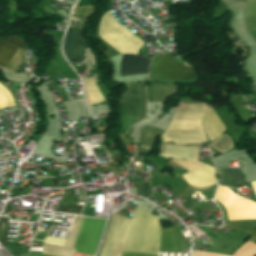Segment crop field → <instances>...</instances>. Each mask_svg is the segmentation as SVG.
Listing matches in <instances>:
<instances>
[{
    "label": "crop field",
    "instance_id": "ac0d7876",
    "mask_svg": "<svg viewBox=\"0 0 256 256\" xmlns=\"http://www.w3.org/2000/svg\"><path fill=\"white\" fill-rule=\"evenodd\" d=\"M159 236V218L134 210L123 251L158 254Z\"/></svg>",
    "mask_w": 256,
    "mask_h": 256
},
{
    "label": "crop field",
    "instance_id": "dafd665d",
    "mask_svg": "<svg viewBox=\"0 0 256 256\" xmlns=\"http://www.w3.org/2000/svg\"><path fill=\"white\" fill-rule=\"evenodd\" d=\"M8 218L0 217V243H5Z\"/></svg>",
    "mask_w": 256,
    "mask_h": 256
},
{
    "label": "crop field",
    "instance_id": "eef30255",
    "mask_svg": "<svg viewBox=\"0 0 256 256\" xmlns=\"http://www.w3.org/2000/svg\"><path fill=\"white\" fill-rule=\"evenodd\" d=\"M122 256H158V255H146V254L123 252Z\"/></svg>",
    "mask_w": 256,
    "mask_h": 256
},
{
    "label": "crop field",
    "instance_id": "733c2abd",
    "mask_svg": "<svg viewBox=\"0 0 256 256\" xmlns=\"http://www.w3.org/2000/svg\"><path fill=\"white\" fill-rule=\"evenodd\" d=\"M17 50L13 45L0 42V68L6 69Z\"/></svg>",
    "mask_w": 256,
    "mask_h": 256
},
{
    "label": "crop field",
    "instance_id": "ae1a2a85",
    "mask_svg": "<svg viewBox=\"0 0 256 256\" xmlns=\"http://www.w3.org/2000/svg\"><path fill=\"white\" fill-rule=\"evenodd\" d=\"M251 185H252V188H253V190H254V192L256 194V182H252Z\"/></svg>",
    "mask_w": 256,
    "mask_h": 256
},
{
    "label": "crop field",
    "instance_id": "34b2d1b8",
    "mask_svg": "<svg viewBox=\"0 0 256 256\" xmlns=\"http://www.w3.org/2000/svg\"><path fill=\"white\" fill-rule=\"evenodd\" d=\"M127 30L108 11L102 18L99 37L121 54H137L144 42Z\"/></svg>",
    "mask_w": 256,
    "mask_h": 256
},
{
    "label": "crop field",
    "instance_id": "3316defc",
    "mask_svg": "<svg viewBox=\"0 0 256 256\" xmlns=\"http://www.w3.org/2000/svg\"><path fill=\"white\" fill-rule=\"evenodd\" d=\"M84 48H87L82 36V29L69 28L64 41V53L69 62L84 59Z\"/></svg>",
    "mask_w": 256,
    "mask_h": 256
},
{
    "label": "crop field",
    "instance_id": "d8731c3e",
    "mask_svg": "<svg viewBox=\"0 0 256 256\" xmlns=\"http://www.w3.org/2000/svg\"><path fill=\"white\" fill-rule=\"evenodd\" d=\"M203 128L216 150L224 153L232 148V142L223 133L225 126L211 107H208V112L203 119Z\"/></svg>",
    "mask_w": 256,
    "mask_h": 256
},
{
    "label": "crop field",
    "instance_id": "412701ff",
    "mask_svg": "<svg viewBox=\"0 0 256 256\" xmlns=\"http://www.w3.org/2000/svg\"><path fill=\"white\" fill-rule=\"evenodd\" d=\"M216 199L225 206L229 220L256 219V203L235 194L231 189L219 187Z\"/></svg>",
    "mask_w": 256,
    "mask_h": 256
},
{
    "label": "crop field",
    "instance_id": "8a807250",
    "mask_svg": "<svg viewBox=\"0 0 256 256\" xmlns=\"http://www.w3.org/2000/svg\"><path fill=\"white\" fill-rule=\"evenodd\" d=\"M206 105L180 101L169 127L162 134L161 154L171 166L188 173L184 180L197 188L217 183L215 169L197 161V147L207 141L201 126Z\"/></svg>",
    "mask_w": 256,
    "mask_h": 256
},
{
    "label": "crop field",
    "instance_id": "d3111659",
    "mask_svg": "<svg viewBox=\"0 0 256 256\" xmlns=\"http://www.w3.org/2000/svg\"><path fill=\"white\" fill-rule=\"evenodd\" d=\"M251 34L256 38V31L251 32Z\"/></svg>",
    "mask_w": 256,
    "mask_h": 256
},
{
    "label": "crop field",
    "instance_id": "bc2a9ffb",
    "mask_svg": "<svg viewBox=\"0 0 256 256\" xmlns=\"http://www.w3.org/2000/svg\"><path fill=\"white\" fill-rule=\"evenodd\" d=\"M41 249L44 254L57 255V256H73L75 253V251L71 249L46 246V245H42Z\"/></svg>",
    "mask_w": 256,
    "mask_h": 256
},
{
    "label": "crop field",
    "instance_id": "730fd06b",
    "mask_svg": "<svg viewBox=\"0 0 256 256\" xmlns=\"http://www.w3.org/2000/svg\"><path fill=\"white\" fill-rule=\"evenodd\" d=\"M44 243L63 246L65 243V240L47 237V239L44 241Z\"/></svg>",
    "mask_w": 256,
    "mask_h": 256
},
{
    "label": "crop field",
    "instance_id": "750c4746",
    "mask_svg": "<svg viewBox=\"0 0 256 256\" xmlns=\"http://www.w3.org/2000/svg\"><path fill=\"white\" fill-rule=\"evenodd\" d=\"M3 9H4V8L0 7V12H2V11H3Z\"/></svg>",
    "mask_w": 256,
    "mask_h": 256
},
{
    "label": "crop field",
    "instance_id": "22f410ed",
    "mask_svg": "<svg viewBox=\"0 0 256 256\" xmlns=\"http://www.w3.org/2000/svg\"><path fill=\"white\" fill-rule=\"evenodd\" d=\"M159 251L177 252L173 227L162 228Z\"/></svg>",
    "mask_w": 256,
    "mask_h": 256
},
{
    "label": "crop field",
    "instance_id": "d1516ede",
    "mask_svg": "<svg viewBox=\"0 0 256 256\" xmlns=\"http://www.w3.org/2000/svg\"><path fill=\"white\" fill-rule=\"evenodd\" d=\"M256 255V244L246 242L242 245L232 256H255ZM192 256H229L211 252H202L192 250Z\"/></svg>",
    "mask_w": 256,
    "mask_h": 256
},
{
    "label": "crop field",
    "instance_id": "5a996713",
    "mask_svg": "<svg viewBox=\"0 0 256 256\" xmlns=\"http://www.w3.org/2000/svg\"><path fill=\"white\" fill-rule=\"evenodd\" d=\"M147 81L128 83V91L122 96L127 102L126 113L132 114L138 121L146 115L145 85Z\"/></svg>",
    "mask_w": 256,
    "mask_h": 256
},
{
    "label": "crop field",
    "instance_id": "cbeb9de0",
    "mask_svg": "<svg viewBox=\"0 0 256 256\" xmlns=\"http://www.w3.org/2000/svg\"><path fill=\"white\" fill-rule=\"evenodd\" d=\"M221 181L229 186L245 182L237 169L223 168L219 169Z\"/></svg>",
    "mask_w": 256,
    "mask_h": 256
},
{
    "label": "crop field",
    "instance_id": "4177f3b9",
    "mask_svg": "<svg viewBox=\"0 0 256 256\" xmlns=\"http://www.w3.org/2000/svg\"><path fill=\"white\" fill-rule=\"evenodd\" d=\"M136 189H137V194L145 196L147 198L151 193V189H150L149 186H146V185H143V184H140V183L136 184Z\"/></svg>",
    "mask_w": 256,
    "mask_h": 256
},
{
    "label": "crop field",
    "instance_id": "f4fd0767",
    "mask_svg": "<svg viewBox=\"0 0 256 256\" xmlns=\"http://www.w3.org/2000/svg\"><path fill=\"white\" fill-rule=\"evenodd\" d=\"M105 220L84 218L73 248L82 254H94Z\"/></svg>",
    "mask_w": 256,
    "mask_h": 256
},
{
    "label": "crop field",
    "instance_id": "4a817a6b",
    "mask_svg": "<svg viewBox=\"0 0 256 256\" xmlns=\"http://www.w3.org/2000/svg\"><path fill=\"white\" fill-rule=\"evenodd\" d=\"M163 130L146 126L141 131V143L149 148L152 147L157 135H161Z\"/></svg>",
    "mask_w": 256,
    "mask_h": 256
},
{
    "label": "crop field",
    "instance_id": "28ad6ade",
    "mask_svg": "<svg viewBox=\"0 0 256 256\" xmlns=\"http://www.w3.org/2000/svg\"><path fill=\"white\" fill-rule=\"evenodd\" d=\"M150 58L139 55H122L120 76L148 73Z\"/></svg>",
    "mask_w": 256,
    "mask_h": 256
},
{
    "label": "crop field",
    "instance_id": "d9b57169",
    "mask_svg": "<svg viewBox=\"0 0 256 256\" xmlns=\"http://www.w3.org/2000/svg\"><path fill=\"white\" fill-rule=\"evenodd\" d=\"M85 87H86V92H87V102L88 104H95V103H100L104 99L101 96L100 92L98 91L94 81L92 78H85L82 79Z\"/></svg>",
    "mask_w": 256,
    "mask_h": 256
},
{
    "label": "crop field",
    "instance_id": "5142ce71",
    "mask_svg": "<svg viewBox=\"0 0 256 256\" xmlns=\"http://www.w3.org/2000/svg\"><path fill=\"white\" fill-rule=\"evenodd\" d=\"M175 87L176 85L154 83L151 99L154 101L163 100L175 91Z\"/></svg>",
    "mask_w": 256,
    "mask_h": 256
},
{
    "label": "crop field",
    "instance_id": "00972430",
    "mask_svg": "<svg viewBox=\"0 0 256 256\" xmlns=\"http://www.w3.org/2000/svg\"><path fill=\"white\" fill-rule=\"evenodd\" d=\"M82 206L62 204L60 212L80 214Z\"/></svg>",
    "mask_w": 256,
    "mask_h": 256
},
{
    "label": "crop field",
    "instance_id": "a9b5d70f",
    "mask_svg": "<svg viewBox=\"0 0 256 256\" xmlns=\"http://www.w3.org/2000/svg\"><path fill=\"white\" fill-rule=\"evenodd\" d=\"M0 41L8 42L17 45L22 50L25 48L23 43L21 42L19 36H12V37H6V38H0Z\"/></svg>",
    "mask_w": 256,
    "mask_h": 256
},
{
    "label": "crop field",
    "instance_id": "e52e79f7",
    "mask_svg": "<svg viewBox=\"0 0 256 256\" xmlns=\"http://www.w3.org/2000/svg\"><path fill=\"white\" fill-rule=\"evenodd\" d=\"M196 77L194 70L181 65L169 53L159 58L155 64V78L188 81Z\"/></svg>",
    "mask_w": 256,
    "mask_h": 256
},
{
    "label": "crop field",
    "instance_id": "92a150f3",
    "mask_svg": "<svg viewBox=\"0 0 256 256\" xmlns=\"http://www.w3.org/2000/svg\"><path fill=\"white\" fill-rule=\"evenodd\" d=\"M7 106H15L10 93L0 85V109Z\"/></svg>",
    "mask_w": 256,
    "mask_h": 256
},
{
    "label": "crop field",
    "instance_id": "bd1437ed",
    "mask_svg": "<svg viewBox=\"0 0 256 256\" xmlns=\"http://www.w3.org/2000/svg\"><path fill=\"white\" fill-rule=\"evenodd\" d=\"M142 147V146H141ZM144 148H146V147H144ZM146 149H148V148H146Z\"/></svg>",
    "mask_w": 256,
    "mask_h": 256
},
{
    "label": "crop field",
    "instance_id": "dd49c442",
    "mask_svg": "<svg viewBox=\"0 0 256 256\" xmlns=\"http://www.w3.org/2000/svg\"><path fill=\"white\" fill-rule=\"evenodd\" d=\"M130 220L113 216L100 256H120Z\"/></svg>",
    "mask_w": 256,
    "mask_h": 256
},
{
    "label": "crop field",
    "instance_id": "214f88e0",
    "mask_svg": "<svg viewBox=\"0 0 256 256\" xmlns=\"http://www.w3.org/2000/svg\"><path fill=\"white\" fill-rule=\"evenodd\" d=\"M82 218L83 217H81V216H76L75 217L74 223L72 225V228L70 230V233L68 235L67 241H66L64 246L70 247V248L73 247V244H74V241H75V238H76V235H77L80 223L82 221Z\"/></svg>",
    "mask_w": 256,
    "mask_h": 256
}]
</instances>
